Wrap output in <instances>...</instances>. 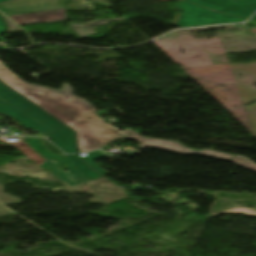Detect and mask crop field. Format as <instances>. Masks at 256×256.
<instances>
[{
    "instance_id": "crop-field-1",
    "label": "crop field",
    "mask_w": 256,
    "mask_h": 256,
    "mask_svg": "<svg viewBox=\"0 0 256 256\" xmlns=\"http://www.w3.org/2000/svg\"><path fill=\"white\" fill-rule=\"evenodd\" d=\"M0 80L73 127L78 133L79 152L101 148L125 137L108 127L103 122L104 119L97 117L94 114L96 112L94 107L73 96L69 84H63L61 91L39 85H29L1 62Z\"/></svg>"
},
{
    "instance_id": "crop-field-2",
    "label": "crop field",
    "mask_w": 256,
    "mask_h": 256,
    "mask_svg": "<svg viewBox=\"0 0 256 256\" xmlns=\"http://www.w3.org/2000/svg\"><path fill=\"white\" fill-rule=\"evenodd\" d=\"M0 113L8 114L24 126L36 129L44 135L65 127V125L14 93L1 82Z\"/></svg>"
},
{
    "instance_id": "crop-field-3",
    "label": "crop field",
    "mask_w": 256,
    "mask_h": 256,
    "mask_svg": "<svg viewBox=\"0 0 256 256\" xmlns=\"http://www.w3.org/2000/svg\"><path fill=\"white\" fill-rule=\"evenodd\" d=\"M26 139L27 143L35 150L39 151L47 161L44 162L41 166L42 169L48 171L53 177L59 180L62 184L68 188L78 186L80 184L89 183L87 179L81 174V172L67 159L66 156L54 155L52 152L45 149L41 138H23ZM54 159L58 163L50 161ZM61 165L62 168H65L69 171L66 173L62 169H59L58 166Z\"/></svg>"
},
{
    "instance_id": "crop-field-4",
    "label": "crop field",
    "mask_w": 256,
    "mask_h": 256,
    "mask_svg": "<svg viewBox=\"0 0 256 256\" xmlns=\"http://www.w3.org/2000/svg\"><path fill=\"white\" fill-rule=\"evenodd\" d=\"M177 8L182 9L183 14L179 19L178 27H193L212 23L243 22L245 19L224 16L190 3L179 2Z\"/></svg>"
},
{
    "instance_id": "crop-field-5",
    "label": "crop field",
    "mask_w": 256,
    "mask_h": 256,
    "mask_svg": "<svg viewBox=\"0 0 256 256\" xmlns=\"http://www.w3.org/2000/svg\"><path fill=\"white\" fill-rule=\"evenodd\" d=\"M125 135H127L130 139L137 140L140 143L139 147L146 148L148 146L154 147V148H159L163 150H168V151H173L177 153H182V154H202L218 159H223V160H232L233 155L231 154H226L214 150H203L201 152H195L190 149H187L183 147L181 144L178 142H171V141H163V140H155V139H148L144 138L141 135L137 134L136 132L128 129L123 132H121Z\"/></svg>"
},
{
    "instance_id": "crop-field-6",
    "label": "crop field",
    "mask_w": 256,
    "mask_h": 256,
    "mask_svg": "<svg viewBox=\"0 0 256 256\" xmlns=\"http://www.w3.org/2000/svg\"><path fill=\"white\" fill-rule=\"evenodd\" d=\"M202 5L215 11L248 19L256 10V0H184Z\"/></svg>"
},
{
    "instance_id": "crop-field-7",
    "label": "crop field",
    "mask_w": 256,
    "mask_h": 256,
    "mask_svg": "<svg viewBox=\"0 0 256 256\" xmlns=\"http://www.w3.org/2000/svg\"><path fill=\"white\" fill-rule=\"evenodd\" d=\"M68 0H18L0 5L5 15L64 8Z\"/></svg>"
},
{
    "instance_id": "crop-field-8",
    "label": "crop field",
    "mask_w": 256,
    "mask_h": 256,
    "mask_svg": "<svg viewBox=\"0 0 256 256\" xmlns=\"http://www.w3.org/2000/svg\"><path fill=\"white\" fill-rule=\"evenodd\" d=\"M19 25L65 20L64 9L9 16Z\"/></svg>"
},
{
    "instance_id": "crop-field-9",
    "label": "crop field",
    "mask_w": 256,
    "mask_h": 256,
    "mask_svg": "<svg viewBox=\"0 0 256 256\" xmlns=\"http://www.w3.org/2000/svg\"><path fill=\"white\" fill-rule=\"evenodd\" d=\"M103 156L104 155L101 151H97V152L89 153L88 156L82 157L86 163H88L91 167H93L97 172L101 174L99 175L90 167H88L81 159H79L77 155H67L69 160L82 172V174L88 179L90 183L96 180L97 178H99L100 176L108 173L107 171L93 164L94 159L103 157Z\"/></svg>"
},
{
    "instance_id": "crop-field-10",
    "label": "crop field",
    "mask_w": 256,
    "mask_h": 256,
    "mask_svg": "<svg viewBox=\"0 0 256 256\" xmlns=\"http://www.w3.org/2000/svg\"><path fill=\"white\" fill-rule=\"evenodd\" d=\"M48 136L65 153H76L75 133L71 129L66 127Z\"/></svg>"
},
{
    "instance_id": "crop-field-11",
    "label": "crop field",
    "mask_w": 256,
    "mask_h": 256,
    "mask_svg": "<svg viewBox=\"0 0 256 256\" xmlns=\"http://www.w3.org/2000/svg\"><path fill=\"white\" fill-rule=\"evenodd\" d=\"M125 18H112V19H105V20H95L88 24H73L69 23L71 27L74 29V31L81 37H87L88 35L95 34L93 29L90 26H97V25H105L108 24V21H114V20H123Z\"/></svg>"
},
{
    "instance_id": "crop-field-12",
    "label": "crop field",
    "mask_w": 256,
    "mask_h": 256,
    "mask_svg": "<svg viewBox=\"0 0 256 256\" xmlns=\"http://www.w3.org/2000/svg\"><path fill=\"white\" fill-rule=\"evenodd\" d=\"M220 213H243V214L256 216V209H252V208H234V209H230V210H226V211L211 214L210 217L214 216V215H217V214H220Z\"/></svg>"
},
{
    "instance_id": "crop-field-13",
    "label": "crop field",
    "mask_w": 256,
    "mask_h": 256,
    "mask_svg": "<svg viewBox=\"0 0 256 256\" xmlns=\"http://www.w3.org/2000/svg\"><path fill=\"white\" fill-rule=\"evenodd\" d=\"M232 162L256 171V164L247 158L234 156Z\"/></svg>"
},
{
    "instance_id": "crop-field-14",
    "label": "crop field",
    "mask_w": 256,
    "mask_h": 256,
    "mask_svg": "<svg viewBox=\"0 0 256 256\" xmlns=\"http://www.w3.org/2000/svg\"><path fill=\"white\" fill-rule=\"evenodd\" d=\"M4 29H5V24H4V22H3V20H2V18H1V16H0V33H1L2 31H4Z\"/></svg>"
},
{
    "instance_id": "crop-field-15",
    "label": "crop field",
    "mask_w": 256,
    "mask_h": 256,
    "mask_svg": "<svg viewBox=\"0 0 256 256\" xmlns=\"http://www.w3.org/2000/svg\"><path fill=\"white\" fill-rule=\"evenodd\" d=\"M247 24L256 26V22H252V21L247 22Z\"/></svg>"
},
{
    "instance_id": "crop-field-16",
    "label": "crop field",
    "mask_w": 256,
    "mask_h": 256,
    "mask_svg": "<svg viewBox=\"0 0 256 256\" xmlns=\"http://www.w3.org/2000/svg\"><path fill=\"white\" fill-rule=\"evenodd\" d=\"M7 1H10V0H0V3L7 2Z\"/></svg>"
},
{
    "instance_id": "crop-field-17",
    "label": "crop field",
    "mask_w": 256,
    "mask_h": 256,
    "mask_svg": "<svg viewBox=\"0 0 256 256\" xmlns=\"http://www.w3.org/2000/svg\"><path fill=\"white\" fill-rule=\"evenodd\" d=\"M253 20H256V16L252 18Z\"/></svg>"
},
{
    "instance_id": "crop-field-18",
    "label": "crop field",
    "mask_w": 256,
    "mask_h": 256,
    "mask_svg": "<svg viewBox=\"0 0 256 256\" xmlns=\"http://www.w3.org/2000/svg\"><path fill=\"white\" fill-rule=\"evenodd\" d=\"M1 39V38H0Z\"/></svg>"
}]
</instances>
